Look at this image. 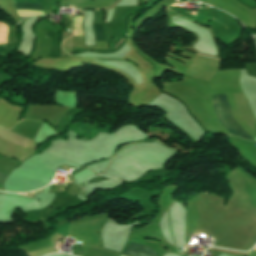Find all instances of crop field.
<instances>
[{
	"label": "crop field",
	"mask_w": 256,
	"mask_h": 256,
	"mask_svg": "<svg viewBox=\"0 0 256 256\" xmlns=\"http://www.w3.org/2000/svg\"><path fill=\"white\" fill-rule=\"evenodd\" d=\"M219 99L221 101L224 115L226 120L231 124V126L242 136V138L253 140L233 119L229 104L227 102L225 95H218ZM217 95L212 96V107L215 112L216 118L219 121V123L228 130L231 134L241 137L225 120L221 104L219 102ZM254 141V140H253Z\"/></svg>",
	"instance_id": "8a807250"
},
{
	"label": "crop field",
	"mask_w": 256,
	"mask_h": 256,
	"mask_svg": "<svg viewBox=\"0 0 256 256\" xmlns=\"http://www.w3.org/2000/svg\"><path fill=\"white\" fill-rule=\"evenodd\" d=\"M123 254L131 255V256H157L154 250L139 245L136 243H131L128 245L126 250L123 252Z\"/></svg>",
	"instance_id": "ac0d7876"
},
{
	"label": "crop field",
	"mask_w": 256,
	"mask_h": 256,
	"mask_svg": "<svg viewBox=\"0 0 256 256\" xmlns=\"http://www.w3.org/2000/svg\"><path fill=\"white\" fill-rule=\"evenodd\" d=\"M14 1H28L41 2V0H14ZM15 2L17 10H43L41 3ZM31 15V14H18Z\"/></svg>",
	"instance_id": "34b2d1b8"
},
{
	"label": "crop field",
	"mask_w": 256,
	"mask_h": 256,
	"mask_svg": "<svg viewBox=\"0 0 256 256\" xmlns=\"http://www.w3.org/2000/svg\"><path fill=\"white\" fill-rule=\"evenodd\" d=\"M95 30V41H103L104 33H103V25L102 24H93Z\"/></svg>",
	"instance_id": "412701ff"
},
{
	"label": "crop field",
	"mask_w": 256,
	"mask_h": 256,
	"mask_svg": "<svg viewBox=\"0 0 256 256\" xmlns=\"http://www.w3.org/2000/svg\"><path fill=\"white\" fill-rule=\"evenodd\" d=\"M6 178V175L0 173V183L2 184V182L4 181V179Z\"/></svg>",
	"instance_id": "f4fd0767"
},
{
	"label": "crop field",
	"mask_w": 256,
	"mask_h": 256,
	"mask_svg": "<svg viewBox=\"0 0 256 256\" xmlns=\"http://www.w3.org/2000/svg\"><path fill=\"white\" fill-rule=\"evenodd\" d=\"M5 45H0V55H3Z\"/></svg>",
	"instance_id": "dd49c442"
},
{
	"label": "crop field",
	"mask_w": 256,
	"mask_h": 256,
	"mask_svg": "<svg viewBox=\"0 0 256 256\" xmlns=\"http://www.w3.org/2000/svg\"><path fill=\"white\" fill-rule=\"evenodd\" d=\"M73 32H74V36H78L79 35L78 29H73Z\"/></svg>",
	"instance_id": "e52e79f7"
},
{
	"label": "crop field",
	"mask_w": 256,
	"mask_h": 256,
	"mask_svg": "<svg viewBox=\"0 0 256 256\" xmlns=\"http://www.w3.org/2000/svg\"><path fill=\"white\" fill-rule=\"evenodd\" d=\"M43 189H41V190H38V192H40V191H42Z\"/></svg>",
	"instance_id": "d8731c3e"
},
{
	"label": "crop field",
	"mask_w": 256,
	"mask_h": 256,
	"mask_svg": "<svg viewBox=\"0 0 256 256\" xmlns=\"http://www.w3.org/2000/svg\"><path fill=\"white\" fill-rule=\"evenodd\" d=\"M200 55V54H199Z\"/></svg>",
	"instance_id": "5a996713"
}]
</instances>
